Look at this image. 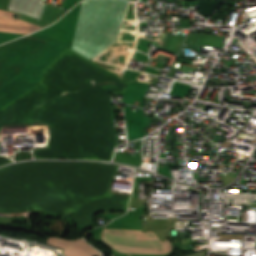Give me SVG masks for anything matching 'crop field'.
<instances>
[{
    "label": "crop field",
    "instance_id": "crop-field-1",
    "mask_svg": "<svg viewBox=\"0 0 256 256\" xmlns=\"http://www.w3.org/2000/svg\"><path fill=\"white\" fill-rule=\"evenodd\" d=\"M128 83L67 48L40 85L0 109V127L48 126L49 147L34 148L36 158L110 161L116 143L109 93Z\"/></svg>",
    "mask_w": 256,
    "mask_h": 256
},
{
    "label": "crop field",
    "instance_id": "crop-field-2",
    "mask_svg": "<svg viewBox=\"0 0 256 256\" xmlns=\"http://www.w3.org/2000/svg\"><path fill=\"white\" fill-rule=\"evenodd\" d=\"M117 165L94 162H24L0 169V213L28 208L75 211L90 227L99 211H126L129 195L110 191Z\"/></svg>",
    "mask_w": 256,
    "mask_h": 256
},
{
    "label": "crop field",
    "instance_id": "crop-field-3",
    "mask_svg": "<svg viewBox=\"0 0 256 256\" xmlns=\"http://www.w3.org/2000/svg\"><path fill=\"white\" fill-rule=\"evenodd\" d=\"M66 47L44 38L26 36L0 46V108L40 83L43 70Z\"/></svg>",
    "mask_w": 256,
    "mask_h": 256
},
{
    "label": "crop field",
    "instance_id": "crop-field-4",
    "mask_svg": "<svg viewBox=\"0 0 256 256\" xmlns=\"http://www.w3.org/2000/svg\"><path fill=\"white\" fill-rule=\"evenodd\" d=\"M125 0L81 2L71 49L92 58L115 41L126 6Z\"/></svg>",
    "mask_w": 256,
    "mask_h": 256
},
{
    "label": "crop field",
    "instance_id": "crop-field-5",
    "mask_svg": "<svg viewBox=\"0 0 256 256\" xmlns=\"http://www.w3.org/2000/svg\"><path fill=\"white\" fill-rule=\"evenodd\" d=\"M103 242L121 253L167 254L171 252L168 240L161 242L152 231L103 229Z\"/></svg>",
    "mask_w": 256,
    "mask_h": 256
},
{
    "label": "crop field",
    "instance_id": "crop-field-6",
    "mask_svg": "<svg viewBox=\"0 0 256 256\" xmlns=\"http://www.w3.org/2000/svg\"><path fill=\"white\" fill-rule=\"evenodd\" d=\"M47 243L65 249L66 256H100V253L89 246L82 238L66 241L59 238H48Z\"/></svg>",
    "mask_w": 256,
    "mask_h": 256
},
{
    "label": "crop field",
    "instance_id": "crop-field-7",
    "mask_svg": "<svg viewBox=\"0 0 256 256\" xmlns=\"http://www.w3.org/2000/svg\"><path fill=\"white\" fill-rule=\"evenodd\" d=\"M44 5L41 0H9L7 8L39 19Z\"/></svg>",
    "mask_w": 256,
    "mask_h": 256
},
{
    "label": "crop field",
    "instance_id": "crop-field-8",
    "mask_svg": "<svg viewBox=\"0 0 256 256\" xmlns=\"http://www.w3.org/2000/svg\"><path fill=\"white\" fill-rule=\"evenodd\" d=\"M23 35L20 34H10V33H2L0 32V44L7 42L9 40L15 39Z\"/></svg>",
    "mask_w": 256,
    "mask_h": 256
},
{
    "label": "crop field",
    "instance_id": "crop-field-9",
    "mask_svg": "<svg viewBox=\"0 0 256 256\" xmlns=\"http://www.w3.org/2000/svg\"><path fill=\"white\" fill-rule=\"evenodd\" d=\"M11 161L12 160H10V159H8L6 157L0 156V165L8 163V162H11Z\"/></svg>",
    "mask_w": 256,
    "mask_h": 256
}]
</instances>
